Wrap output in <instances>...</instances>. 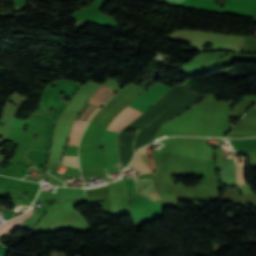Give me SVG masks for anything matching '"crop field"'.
<instances>
[{"label": "crop field", "mask_w": 256, "mask_h": 256, "mask_svg": "<svg viewBox=\"0 0 256 256\" xmlns=\"http://www.w3.org/2000/svg\"><path fill=\"white\" fill-rule=\"evenodd\" d=\"M253 106H255L256 107V104H254ZM251 107V109H253V110H255L256 111V108L255 107Z\"/></svg>", "instance_id": "8"}, {"label": "crop field", "mask_w": 256, "mask_h": 256, "mask_svg": "<svg viewBox=\"0 0 256 256\" xmlns=\"http://www.w3.org/2000/svg\"><path fill=\"white\" fill-rule=\"evenodd\" d=\"M31 215H33V213L29 211L28 213H26L8 223L1 225L0 226V237L16 230L19 227V225Z\"/></svg>", "instance_id": "3"}, {"label": "crop field", "mask_w": 256, "mask_h": 256, "mask_svg": "<svg viewBox=\"0 0 256 256\" xmlns=\"http://www.w3.org/2000/svg\"><path fill=\"white\" fill-rule=\"evenodd\" d=\"M63 164L79 168L77 156H63Z\"/></svg>", "instance_id": "5"}, {"label": "crop field", "mask_w": 256, "mask_h": 256, "mask_svg": "<svg viewBox=\"0 0 256 256\" xmlns=\"http://www.w3.org/2000/svg\"><path fill=\"white\" fill-rule=\"evenodd\" d=\"M141 113L137 111H133L130 115H128L118 126H116L113 130L114 131H120L124 126H126L128 123L136 119ZM116 166V165H113Z\"/></svg>", "instance_id": "4"}, {"label": "crop field", "mask_w": 256, "mask_h": 256, "mask_svg": "<svg viewBox=\"0 0 256 256\" xmlns=\"http://www.w3.org/2000/svg\"><path fill=\"white\" fill-rule=\"evenodd\" d=\"M132 164L139 169L138 173L153 168L154 162L150 146L140 150Z\"/></svg>", "instance_id": "2"}, {"label": "crop field", "mask_w": 256, "mask_h": 256, "mask_svg": "<svg viewBox=\"0 0 256 256\" xmlns=\"http://www.w3.org/2000/svg\"><path fill=\"white\" fill-rule=\"evenodd\" d=\"M238 204H240V205H246V204L242 201L241 198L239 199V203H238Z\"/></svg>", "instance_id": "7"}, {"label": "crop field", "mask_w": 256, "mask_h": 256, "mask_svg": "<svg viewBox=\"0 0 256 256\" xmlns=\"http://www.w3.org/2000/svg\"><path fill=\"white\" fill-rule=\"evenodd\" d=\"M236 176L239 184L246 183L244 180V171L242 167H236Z\"/></svg>", "instance_id": "6"}, {"label": "crop field", "mask_w": 256, "mask_h": 256, "mask_svg": "<svg viewBox=\"0 0 256 256\" xmlns=\"http://www.w3.org/2000/svg\"><path fill=\"white\" fill-rule=\"evenodd\" d=\"M115 92H116V90L102 85L98 89V91L91 97V100H89L88 103H91V104L101 107ZM88 103L85 104L83 110L80 112V114L76 120L80 121L87 106L89 105ZM99 107H95L92 105L88 106L81 121L88 122L91 119V117L93 116V114L99 109ZM86 125H87V123L75 121L74 126L71 131V135L69 137L70 140H69L68 144L78 145L79 139H80L81 134H82L84 128L86 127Z\"/></svg>", "instance_id": "1"}]
</instances>
